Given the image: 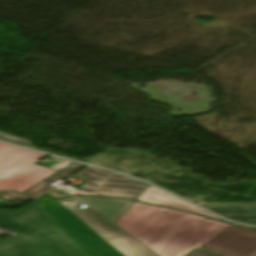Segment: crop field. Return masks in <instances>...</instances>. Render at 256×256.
<instances>
[{
	"label": "crop field",
	"mask_w": 256,
	"mask_h": 256,
	"mask_svg": "<svg viewBox=\"0 0 256 256\" xmlns=\"http://www.w3.org/2000/svg\"><path fill=\"white\" fill-rule=\"evenodd\" d=\"M114 224L159 256H184L229 225L138 202H134Z\"/></svg>",
	"instance_id": "obj_1"
},
{
	"label": "crop field",
	"mask_w": 256,
	"mask_h": 256,
	"mask_svg": "<svg viewBox=\"0 0 256 256\" xmlns=\"http://www.w3.org/2000/svg\"><path fill=\"white\" fill-rule=\"evenodd\" d=\"M0 226L37 237L54 256H88L48 220L38 204L20 212H0Z\"/></svg>",
	"instance_id": "obj_2"
},
{
	"label": "crop field",
	"mask_w": 256,
	"mask_h": 256,
	"mask_svg": "<svg viewBox=\"0 0 256 256\" xmlns=\"http://www.w3.org/2000/svg\"><path fill=\"white\" fill-rule=\"evenodd\" d=\"M46 155L0 143V191L22 192L54 174L33 164Z\"/></svg>",
	"instance_id": "obj_3"
},
{
	"label": "crop field",
	"mask_w": 256,
	"mask_h": 256,
	"mask_svg": "<svg viewBox=\"0 0 256 256\" xmlns=\"http://www.w3.org/2000/svg\"><path fill=\"white\" fill-rule=\"evenodd\" d=\"M39 205L49 220L89 256H122L57 201L53 200Z\"/></svg>",
	"instance_id": "obj_4"
},
{
	"label": "crop field",
	"mask_w": 256,
	"mask_h": 256,
	"mask_svg": "<svg viewBox=\"0 0 256 256\" xmlns=\"http://www.w3.org/2000/svg\"><path fill=\"white\" fill-rule=\"evenodd\" d=\"M57 201L93 229L123 256H155L92 209L79 210L76 208L74 205L81 203L76 198L71 197Z\"/></svg>",
	"instance_id": "obj_5"
},
{
	"label": "crop field",
	"mask_w": 256,
	"mask_h": 256,
	"mask_svg": "<svg viewBox=\"0 0 256 256\" xmlns=\"http://www.w3.org/2000/svg\"><path fill=\"white\" fill-rule=\"evenodd\" d=\"M88 180L81 188L102 196L136 199L149 185L113 172L90 167L75 175Z\"/></svg>",
	"instance_id": "obj_6"
},
{
	"label": "crop field",
	"mask_w": 256,
	"mask_h": 256,
	"mask_svg": "<svg viewBox=\"0 0 256 256\" xmlns=\"http://www.w3.org/2000/svg\"><path fill=\"white\" fill-rule=\"evenodd\" d=\"M199 249L221 256H251L256 252V230L230 225Z\"/></svg>",
	"instance_id": "obj_7"
},
{
	"label": "crop field",
	"mask_w": 256,
	"mask_h": 256,
	"mask_svg": "<svg viewBox=\"0 0 256 256\" xmlns=\"http://www.w3.org/2000/svg\"><path fill=\"white\" fill-rule=\"evenodd\" d=\"M0 256H53V254L37 238L20 234L0 242Z\"/></svg>",
	"instance_id": "obj_8"
},
{
	"label": "crop field",
	"mask_w": 256,
	"mask_h": 256,
	"mask_svg": "<svg viewBox=\"0 0 256 256\" xmlns=\"http://www.w3.org/2000/svg\"><path fill=\"white\" fill-rule=\"evenodd\" d=\"M136 200L142 201V202H147V203H152V204H157L161 206H166V207H171V208H176L180 210H185L193 213H198L202 215H206L211 218L219 219L222 221L221 218H218L206 211H202L160 189H157L155 187L149 186ZM229 222V221H226ZM231 223V222H229Z\"/></svg>",
	"instance_id": "obj_9"
},
{
	"label": "crop field",
	"mask_w": 256,
	"mask_h": 256,
	"mask_svg": "<svg viewBox=\"0 0 256 256\" xmlns=\"http://www.w3.org/2000/svg\"><path fill=\"white\" fill-rule=\"evenodd\" d=\"M236 222L256 224V203L199 204Z\"/></svg>",
	"instance_id": "obj_10"
},
{
	"label": "crop field",
	"mask_w": 256,
	"mask_h": 256,
	"mask_svg": "<svg viewBox=\"0 0 256 256\" xmlns=\"http://www.w3.org/2000/svg\"><path fill=\"white\" fill-rule=\"evenodd\" d=\"M102 215L107 217L113 223L121 216V214L133 203L128 200H114L98 197H78Z\"/></svg>",
	"instance_id": "obj_11"
},
{
	"label": "crop field",
	"mask_w": 256,
	"mask_h": 256,
	"mask_svg": "<svg viewBox=\"0 0 256 256\" xmlns=\"http://www.w3.org/2000/svg\"><path fill=\"white\" fill-rule=\"evenodd\" d=\"M85 166L86 165H82V164L73 162V163L69 164L68 166L62 168L61 170L57 171V173L55 172L56 174H54L52 176L50 175L51 177H49L47 179L45 178L46 180H44L42 182L40 181L41 183L31 187L30 189H28L27 191H25L23 193H26L28 195L35 197V196L41 194L42 192L48 190L50 188L48 186L51 185V183L55 179L67 178Z\"/></svg>",
	"instance_id": "obj_12"
},
{
	"label": "crop field",
	"mask_w": 256,
	"mask_h": 256,
	"mask_svg": "<svg viewBox=\"0 0 256 256\" xmlns=\"http://www.w3.org/2000/svg\"><path fill=\"white\" fill-rule=\"evenodd\" d=\"M0 198L10 199V200L31 199L17 192H0Z\"/></svg>",
	"instance_id": "obj_13"
},
{
	"label": "crop field",
	"mask_w": 256,
	"mask_h": 256,
	"mask_svg": "<svg viewBox=\"0 0 256 256\" xmlns=\"http://www.w3.org/2000/svg\"><path fill=\"white\" fill-rule=\"evenodd\" d=\"M189 256H216V255L210 254L208 252L197 250V251L193 252L192 254H190Z\"/></svg>",
	"instance_id": "obj_14"
},
{
	"label": "crop field",
	"mask_w": 256,
	"mask_h": 256,
	"mask_svg": "<svg viewBox=\"0 0 256 256\" xmlns=\"http://www.w3.org/2000/svg\"><path fill=\"white\" fill-rule=\"evenodd\" d=\"M39 200H46V199H53L48 194L43 195L42 197L38 198Z\"/></svg>",
	"instance_id": "obj_15"
},
{
	"label": "crop field",
	"mask_w": 256,
	"mask_h": 256,
	"mask_svg": "<svg viewBox=\"0 0 256 256\" xmlns=\"http://www.w3.org/2000/svg\"><path fill=\"white\" fill-rule=\"evenodd\" d=\"M252 256H256V253L254 255H252Z\"/></svg>",
	"instance_id": "obj_16"
}]
</instances>
